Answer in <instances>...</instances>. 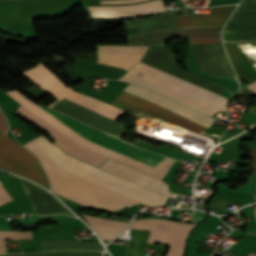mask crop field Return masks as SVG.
<instances>
[{"instance_id": "7", "label": "crop field", "mask_w": 256, "mask_h": 256, "mask_svg": "<svg viewBox=\"0 0 256 256\" xmlns=\"http://www.w3.org/2000/svg\"><path fill=\"white\" fill-rule=\"evenodd\" d=\"M16 112L21 116H23L24 118L34 122L42 130L46 131L48 134L54 137L53 143L57 145L59 148H61L64 152L70 155H73L85 162L93 164L97 167H99L102 164V162L106 159V157L102 155H99L97 153H94L90 150H87L79 146L78 144L73 142L71 139H69L68 137H66L59 131H57L55 128H53L52 126L44 122L42 119H40L39 117H37L36 115L28 111L23 106L20 105V107L17 109ZM101 168L113 174H116L120 177H123L127 180H130L134 183H137L141 186H144L153 191H156L160 194H163L167 197L173 198L176 195L173 193H169L168 186L166 183L160 180H157L155 178H152L148 175H145L141 172H138L136 170H133L129 167H126L122 164L114 162L110 159H108Z\"/></svg>"}, {"instance_id": "10", "label": "crop field", "mask_w": 256, "mask_h": 256, "mask_svg": "<svg viewBox=\"0 0 256 256\" xmlns=\"http://www.w3.org/2000/svg\"><path fill=\"white\" fill-rule=\"evenodd\" d=\"M142 0L129 1H100L101 4L126 3ZM92 17H124L141 15L153 12L164 11L161 0H153L135 5L110 6V7H88Z\"/></svg>"}, {"instance_id": "5", "label": "crop field", "mask_w": 256, "mask_h": 256, "mask_svg": "<svg viewBox=\"0 0 256 256\" xmlns=\"http://www.w3.org/2000/svg\"><path fill=\"white\" fill-rule=\"evenodd\" d=\"M122 80L137 83L207 115L223 110L227 98L138 62Z\"/></svg>"}, {"instance_id": "3", "label": "crop field", "mask_w": 256, "mask_h": 256, "mask_svg": "<svg viewBox=\"0 0 256 256\" xmlns=\"http://www.w3.org/2000/svg\"><path fill=\"white\" fill-rule=\"evenodd\" d=\"M6 93L8 95H10L13 99H15L17 102H19L21 105H23L24 107L29 109L31 112H33L34 114H36L37 116H39L40 118L45 120L47 123H49L56 129L61 131L63 134H65L66 136H68L69 138L74 140L76 143H78L84 147H87L89 149H92L96 152H99L103 155L111 157L115 160H118L122 163H125L129 166L137 168L141 171H144L148 174L156 176L160 179H162V177L165 175V172H167V170L170 168V166L174 162V160L163 157L161 155L150 152L148 150L130 146V145H128L116 138H113V137H111V136L91 127V126L84 125V124L64 115V114L56 112L41 103L38 104L42 108H44L46 111H48L50 114H52L54 117H56L61 122H63L65 125H67L69 128H71L73 131L78 133L80 136H82L98 145H101L103 147H106V148L116 151L118 153H121L128 157H131L135 160H138L140 162H143L145 164H148L150 166H153V167L163 170L165 172L155 169L153 167H150L148 165H145L143 163H140L138 161H135L131 158H128L126 156H123L121 154H118L116 152L108 150L106 148H103L101 146H98V145L80 137L78 134L73 132L71 129H69L67 126H65L63 123H61L59 120H57L52 115H50L48 112H46L44 109H42L40 106L34 104L33 102H31L29 99H27L25 96L18 93L17 91L13 90V91H9Z\"/></svg>"}, {"instance_id": "13", "label": "crop field", "mask_w": 256, "mask_h": 256, "mask_svg": "<svg viewBox=\"0 0 256 256\" xmlns=\"http://www.w3.org/2000/svg\"><path fill=\"white\" fill-rule=\"evenodd\" d=\"M42 251L100 250L98 242H82L80 239L40 240Z\"/></svg>"}, {"instance_id": "22", "label": "crop field", "mask_w": 256, "mask_h": 256, "mask_svg": "<svg viewBox=\"0 0 256 256\" xmlns=\"http://www.w3.org/2000/svg\"><path fill=\"white\" fill-rule=\"evenodd\" d=\"M250 157L253 158V164L251 165L252 167H254V169H256V146L253 148V150L250 152L249 154Z\"/></svg>"}, {"instance_id": "27", "label": "crop field", "mask_w": 256, "mask_h": 256, "mask_svg": "<svg viewBox=\"0 0 256 256\" xmlns=\"http://www.w3.org/2000/svg\"><path fill=\"white\" fill-rule=\"evenodd\" d=\"M1 184V183H0Z\"/></svg>"}, {"instance_id": "2", "label": "crop field", "mask_w": 256, "mask_h": 256, "mask_svg": "<svg viewBox=\"0 0 256 256\" xmlns=\"http://www.w3.org/2000/svg\"><path fill=\"white\" fill-rule=\"evenodd\" d=\"M235 7L210 8V13L205 15L174 16V28L130 35L129 45L163 47L162 43L172 36H191V44L221 43L222 25ZM146 49L137 46H98V63L128 70Z\"/></svg>"}, {"instance_id": "24", "label": "crop field", "mask_w": 256, "mask_h": 256, "mask_svg": "<svg viewBox=\"0 0 256 256\" xmlns=\"http://www.w3.org/2000/svg\"><path fill=\"white\" fill-rule=\"evenodd\" d=\"M249 256H256V253H250Z\"/></svg>"}, {"instance_id": "21", "label": "crop field", "mask_w": 256, "mask_h": 256, "mask_svg": "<svg viewBox=\"0 0 256 256\" xmlns=\"http://www.w3.org/2000/svg\"><path fill=\"white\" fill-rule=\"evenodd\" d=\"M9 200H12V199L10 198V196L6 193V191L0 185V205L9 201Z\"/></svg>"}, {"instance_id": "18", "label": "crop field", "mask_w": 256, "mask_h": 256, "mask_svg": "<svg viewBox=\"0 0 256 256\" xmlns=\"http://www.w3.org/2000/svg\"><path fill=\"white\" fill-rule=\"evenodd\" d=\"M20 238H32L31 232L0 231V240ZM4 241L5 240L0 241V253H6Z\"/></svg>"}, {"instance_id": "20", "label": "crop field", "mask_w": 256, "mask_h": 256, "mask_svg": "<svg viewBox=\"0 0 256 256\" xmlns=\"http://www.w3.org/2000/svg\"><path fill=\"white\" fill-rule=\"evenodd\" d=\"M239 1L240 0H211V2L206 6L238 3Z\"/></svg>"}, {"instance_id": "25", "label": "crop field", "mask_w": 256, "mask_h": 256, "mask_svg": "<svg viewBox=\"0 0 256 256\" xmlns=\"http://www.w3.org/2000/svg\"><path fill=\"white\" fill-rule=\"evenodd\" d=\"M105 256H108V254L106 253V255Z\"/></svg>"}, {"instance_id": "12", "label": "crop field", "mask_w": 256, "mask_h": 256, "mask_svg": "<svg viewBox=\"0 0 256 256\" xmlns=\"http://www.w3.org/2000/svg\"><path fill=\"white\" fill-rule=\"evenodd\" d=\"M125 24H126L128 35L147 32V31H153L158 29H164V28H170L172 27L171 13L162 15V16L128 21V22H125Z\"/></svg>"}, {"instance_id": "17", "label": "crop field", "mask_w": 256, "mask_h": 256, "mask_svg": "<svg viewBox=\"0 0 256 256\" xmlns=\"http://www.w3.org/2000/svg\"><path fill=\"white\" fill-rule=\"evenodd\" d=\"M101 252H56V253H35V254H10L0 256H100Z\"/></svg>"}, {"instance_id": "15", "label": "crop field", "mask_w": 256, "mask_h": 256, "mask_svg": "<svg viewBox=\"0 0 256 256\" xmlns=\"http://www.w3.org/2000/svg\"><path fill=\"white\" fill-rule=\"evenodd\" d=\"M223 41L256 40V28H224Z\"/></svg>"}, {"instance_id": "19", "label": "crop field", "mask_w": 256, "mask_h": 256, "mask_svg": "<svg viewBox=\"0 0 256 256\" xmlns=\"http://www.w3.org/2000/svg\"><path fill=\"white\" fill-rule=\"evenodd\" d=\"M168 185L170 187V191H172V192H175V193L180 194V195L190 194V191H189L188 187L176 185V184L170 183V182H168Z\"/></svg>"}, {"instance_id": "1", "label": "crop field", "mask_w": 256, "mask_h": 256, "mask_svg": "<svg viewBox=\"0 0 256 256\" xmlns=\"http://www.w3.org/2000/svg\"><path fill=\"white\" fill-rule=\"evenodd\" d=\"M40 135L23 144L45 169L52 192L88 208L106 211L135 203L164 204L167 197L69 155Z\"/></svg>"}, {"instance_id": "26", "label": "crop field", "mask_w": 256, "mask_h": 256, "mask_svg": "<svg viewBox=\"0 0 256 256\" xmlns=\"http://www.w3.org/2000/svg\"><path fill=\"white\" fill-rule=\"evenodd\" d=\"M255 214H256V212H255Z\"/></svg>"}, {"instance_id": "4", "label": "crop field", "mask_w": 256, "mask_h": 256, "mask_svg": "<svg viewBox=\"0 0 256 256\" xmlns=\"http://www.w3.org/2000/svg\"><path fill=\"white\" fill-rule=\"evenodd\" d=\"M20 74L25 76L27 79L38 85L40 88L58 100L64 98L112 120H114L122 112L121 110L107 103L70 90L66 87L67 85L63 84L49 69L45 68L41 64ZM64 99L54 104L51 108L98 129L113 134L117 137L120 136V133L123 129L121 124L91 112L78 105H75L71 102H68Z\"/></svg>"}, {"instance_id": "16", "label": "crop field", "mask_w": 256, "mask_h": 256, "mask_svg": "<svg viewBox=\"0 0 256 256\" xmlns=\"http://www.w3.org/2000/svg\"><path fill=\"white\" fill-rule=\"evenodd\" d=\"M256 26V11L234 12L225 27Z\"/></svg>"}, {"instance_id": "11", "label": "crop field", "mask_w": 256, "mask_h": 256, "mask_svg": "<svg viewBox=\"0 0 256 256\" xmlns=\"http://www.w3.org/2000/svg\"><path fill=\"white\" fill-rule=\"evenodd\" d=\"M36 214L46 215L52 213H62L75 216L65 206L58 202L51 194L39 186L19 178Z\"/></svg>"}, {"instance_id": "9", "label": "crop field", "mask_w": 256, "mask_h": 256, "mask_svg": "<svg viewBox=\"0 0 256 256\" xmlns=\"http://www.w3.org/2000/svg\"><path fill=\"white\" fill-rule=\"evenodd\" d=\"M197 224L161 219L133 220L129 228L151 229L149 243L170 246L165 256H182L186 237Z\"/></svg>"}, {"instance_id": "8", "label": "crop field", "mask_w": 256, "mask_h": 256, "mask_svg": "<svg viewBox=\"0 0 256 256\" xmlns=\"http://www.w3.org/2000/svg\"><path fill=\"white\" fill-rule=\"evenodd\" d=\"M3 134L0 132V168L49 188L47 177L37 158Z\"/></svg>"}, {"instance_id": "6", "label": "crop field", "mask_w": 256, "mask_h": 256, "mask_svg": "<svg viewBox=\"0 0 256 256\" xmlns=\"http://www.w3.org/2000/svg\"><path fill=\"white\" fill-rule=\"evenodd\" d=\"M122 92L154 103L160 107H163L169 111L181 115L191 121H194L206 128H208L214 121L213 119H210L171 99H168L166 97H163L161 95H158L156 93H153L151 91H148L133 84H129L126 88L122 90ZM122 92H120L109 104L137 116H139L142 112H145L147 114L158 117L170 123L176 124L188 130L199 133L201 135H203V133L206 131V128L196 123H193L181 116H178L154 104L124 94Z\"/></svg>"}, {"instance_id": "14", "label": "crop field", "mask_w": 256, "mask_h": 256, "mask_svg": "<svg viewBox=\"0 0 256 256\" xmlns=\"http://www.w3.org/2000/svg\"><path fill=\"white\" fill-rule=\"evenodd\" d=\"M85 221L93 228L100 236L101 239L111 240L114 236L119 234L128 223L83 216Z\"/></svg>"}, {"instance_id": "23", "label": "crop field", "mask_w": 256, "mask_h": 256, "mask_svg": "<svg viewBox=\"0 0 256 256\" xmlns=\"http://www.w3.org/2000/svg\"><path fill=\"white\" fill-rule=\"evenodd\" d=\"M246 88L256 92V81L248 85Z\"/></svg>"}]
</instances>
